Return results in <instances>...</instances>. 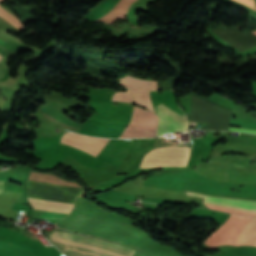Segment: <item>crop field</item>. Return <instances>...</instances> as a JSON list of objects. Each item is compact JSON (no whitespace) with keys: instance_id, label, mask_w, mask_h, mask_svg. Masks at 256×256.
Returning a JSON list of instances; mask_svg holds the SVG:
<instances>
[{"instance_id":"crop-field-1","label":"crop field","mask_w":256,"mask_h":256,"mask_svg":"<svg viewBox=\"0 0 256 256\" xmlns=\"http://www.w3.org/2000/svg\"><path fill=\"white\" fill-rule=\"evenodd\" d=\"M51 240L72 256H133L134 249L105 240L54 231Z\"/></svg>"},{"instance_id":"crop-field-2","label":"crop field","mask_w":256,"mask_h":256,"mask_svg":"<svg viewBox=\"0 0 256 256\" xmlns=\"http://www.w3.org/2000/svg\"><path fill=\"white\" fill-rule=\"evenodd\" d=\"M231 111L192 95L190 120L206 124L208 130H228Z\"/></svg>"},{"instance_id":"crop-field-3","label":"crop field","mask_w":256,"mask_h":256,"mask_svg":"<svg viewBox=\"0 0 256 256\" xmlns=\"http://www.w3.org/2000/svg\"><path fill=\"white\" fill-rule=\"evenodd\" d=\"M157 121V116L152 112L135 105L131 121L119 138L155 136Z\"/></svg>"},{"instance_id":"crop-field-4","label":"crop field","mask_w":256,"mask_h":256,"mask_svg":"<svg viewBox=\"0 0 256 256\" xmlns=\"http://www.w3.org/2000/svg\"><path fill=\"white\" fill-rule=\"evenodd\" d=\"M251 217L231 214L230 218L204 242L210 246L236 244L237 236Z\"/></svg>"},{"instance_id":"crop-field-5","label":"crop field","mask_w":256,"mask_h":256,"mask_svg":"<svg viewBox=\"0 0 256 256\" xmlns=\"http://www.w3.org/2000/svg\"><path fill=\"white\" fill-rule=\"evenodd\" d=\"M156 115L159 116L157 135L161 136L174 131H186V116H181L163 104L156 106Z\"/></svg>"},{"instance_id":"crop-field-6","label":"crop field","mask_w":256,"mask_h":256,"mask_svg":"<svg viewBox=\"0 0 256 256\" xmlns=\"http://www.w3.org/2000/svg\"><path fill=\"white\" fill-rule=\"evenodd\" d=\"M120 84L129 88L134 96L135 103L154 111L149 98V90H157L155 81L126 76L120 78Z\"/></svg>"},{"instance_id":"crop-field-7","label":"crop field","mask_w":256,"mask_h":256,"mask_svg":"<svg viewBox=\"0 0 256 256\" xmlns=\"http://www.w3.org/2000/svg\"><path fill=\"white\" fill-rule=\"evenodd\" d=\"M109 139L87 137L79 134L67 133L61 138L62 143L69 144L94 157L100 152Z\"/></svg>"},{"instance_id":"crop-field-8","label":"crop field","mask_w":256,"mask_h":256,"mask_svg":"<svg viewBox=\"0 0 256 256\" xmlns=\"http://www.w3.org/2000/svg\"><path fill=\"white\" fill-rule=\"evenodd\" d=\"M219 37L237 48L240 52L256 45V32L241 33L235 29H217L211 30Z\"/></svg>"},{"instance_id":"crop-field-9","label":"crop field","mask_w":256,"mask_h":256,"mask_svg":"<svg viewBox=\"0 0 256 256\" xmlns=\"http://www.w3.org/2000/svg\"><path fill=\"white\" fill-rule=\"evenodd\" d=\"M186 193L189 195L205 198L204 202L208 203V204L256 212V202L255 201L240 200V199L214 198V197L205 196L202 194H197V193H192V192H186Z\"/></svg>"},{"instance_id":"crop-field-10","label":"crop field","mask_w":256,"mask_h":256,"mask_svg":"<svg viewBox=\"0 0 256 256\" xmlns=\"http://www.w3.org/2000/svg\"><path fill=\"white\" fill-rule=\"evenodd\" d=\"M20 192L3 191L0 195V214L13 219L17 216L18 211L10 210L13 202L20 196Z\"/></svg>"},{"instance_id":"crop-field-11","label":"crop field","mask_w":256,"mask_h":256,"mask_svg":"<svg viewBox=\"0 0 256 256\" xmlns=\"http://www.w3.org/2000/svg\"><path fill=\"white\" fill-rule=\"evenodd\" d=\"M28 200L34 209L65 212V213H69L73 205L70 203L54 202V201L31 199V198H28Z\"/></svg>"},{"instance_id":"crop-field-12","label":"crop field","mask_w":256,"mask_h":256,"mask_svg":"<svg viewBox=\"0 0 256 256\" xmlns=\"http://www.w3.org/2000/svg\"><path fill=\"white\" fill-rule=\"evenodd\" d=\"M134 1L135 0H120L108 14L96 21L113 22L118 18H123L127 8Z\"/></svg>"},{"instance_id":"crop-field-13","label":"crop field","mask_w":256,"mask_h":256,"mask_svg":"<svg viewBox=\"0 0 256 256\" xmlns=\"http://www.w3.org/2000/svg\"><path fill=\"white\" fill-rule=\"evenodd\" d=\"M0 16L2 18H4L5 20H7L8 22H10L12 25H14L15 27L21 29L24 28L23 25L20 23V21L18 19H16L14 16H12L11 14H9L8 12H6L4 9H2L0 7Z\"/></svg>"},{"instance_id":"crop-field-14","label":"crop field","mask_w":256,"mask_h":256,"mask_svg":"<svg viewBox=\"0 0 256 256\" xmlns=\"http://www.w3.org/2000/svg\"><path fill=\"white\" fill-rule=\"evenodd\" d=\"M237 245H252L256 246V235H240Z\"/></svg>"},{"instance_id":"crop-field-15","label":"crop field","mask_w":256,"mask_h":256,"mask_svg":"<svg viewBox=\"0 0 256 256\" xmlns=\"http://www.w3.org/2000/svg\"><path fill=\"white\" fill-rule=\"evenodd\" d=\"M112 101L131 102L133 101L132 94L130 93V91L115 92Z\"/></svg>"},{"instance_id":"crop-field-16","label":"crop field","mask_w":256,"mask_h":256,"mask_svg":"<svg viewBox=\"0 0 256 256\" xmlns=\"http://www.w3.org/2000/svg\"><path fill=\"white\" fill-rule=\"evenodd\" d=\"M206 206H208L209 208H212V209L223 210V211L239 213V214H245V215H250V216H256V213H254V212H247V211H241V210H235V209H229V208H223V207H217V206H211V205H206Z\"/></svg>"},{"instance_id":"crop-field-17","label":"crop field","mask_w":256,"mask_h":256,"mask_svg":"<svg viewBox=\"0 0 256 256\" xmlns=\"http://www.w3.org/2000/svg\"><path fill=\"white\" fill-rule=\"evenodd\" d=\"M236 1L247 4V5L251 6L253 9L256 10V4H255L254 0H236Z\"/></svg>"},{"instance_id":"crop-field-18","label":"crop field","mask_w":256,"mask_h":256,"mask_svg":"<svg viewBox=\"0 0 256 256\" xmlns=\"http://www.w3.org/2000/svg\"><path fill=\"white\" fill-rule=\"evenodd\" d=\"M229 131H242V132H248V133H256V131H252V130H244V129H237V128H231V127H229Z\"/></svg>"},{"instance_id":"crop-field-19","label":"crop field","mask_w":256,"mask_h":256,"mask_svg":"<svg viewBox=\"0 0 256 256\" xmlns=\"http://www.w3.org/2000/svg\"><path fill=\"white\" fill-rule=\"evenodd\" d=\"M3 191V182H0V192Z\"/></svg>"},{"instance_id":"crop-field-20","label":"crop field","mask_w":256,"mask_h":256,"mask_svg":"<svg viewBox=\"0 0 256 256\" xmlns=\"http://www.w3.org/2000/svg\"><path fill=\"white\" fill-rule=\"evenodd\" d=\"M3 56L0 55V60L2 59Z\"/></svg>"},{"instance_id":"crop-field-21","label":"crop field","mask_w":256,"mask_h":256,"mask_svg":"<svg viewBox=\"0 0 256 256\" xmlns=\"http://www.w3.org/2000/svg\"><path fill=\"white\" fill-rule=\"evenodd\" d=\"M0 1H2V0H0Z\"/></svg>"}]
</instances>
